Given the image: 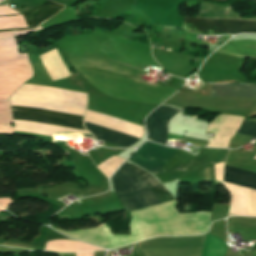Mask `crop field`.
<instances>
[{
    "label": "crop field",
    "mask_w": 256,
    "mask_h": 256,
    "mask_svg": "<svg viewBox=\"0 0 256 256\" xmlns=\"http://www.w3.org/2000/svg\"><path fill=\"white\" fill-rule=\"evenodd\" d=\"M178 149L145 142L129 159L151 173L161 168ZM228 150L203 148L200 153L193 155L179 149L171 159L155 174L169 170L191 171L212 162L224 161Z\"/></svg>",
    "instance_id": "8a807250"
},
{
    "label": "crop field",
    "mask_w": 256,
    "mask_h": 256,
    "mask_svg": "<svg viewBox=\"0 0 256 256\" xmlns=\"http://www.w3.org/2000/svg\"><path fill=\"white\" fill-rule=\"evenodd\" d=\"M32 75L28 56L18 54L15 39H0V133H13L8 97Z\"/></svg>",
    "instance_id": "ac0d7876"
},
{
    "label": "crop field",
    "mask_w": 256,
    "mask_h": 256,
    "mask_svg": "<svg viewBox=\"0 0 256 256\" xmlns=\"http://www.w3.org/2000/svg\"><path fill=\"white\" fill-rule=\"evenodd\" d=\"M126 163H124L112 176L114 193L126 210L133 211L151 205H157L158 202L160 204L167 202V199L164 197L146 171L131 163H127L151 188L158 202L150 188Z\"/></svg>",
    "instance_id": "34b2d1b8"
},
{
    "label": "crop field",
    "mask_w": 256,
    "mask_h": 256,
    "mask_svg": "<svg viewBox=\"0 0 256 256\" xmlns=\"http://www.w3.org/2000/svg\"><path fill=\"white\" fill-rule=\"evenodd\" d=\"M183 28L199 33H256V22L184 18Z\"/></svg>",
    "instance_id": "412701ff"
},
{
    "label": "crop field",
    "mask_w": 256,
    "mask_h": 256,
    "mask_svg": "<svg viewBox=\"0 0 256 256\" xmlns=\"http://www.w3.org/2000/svg\"><path fill=\"white\" fill-rule=\"evenodd\" d=\"M178 111L173 107L160 106L151 113L146 119L148 139L167 145V124Z\"/></svg>",
    "instance_id": "f4fd0767"
},
{
    "label": "crop field",
    "mask_w": 256,
    "mask_h": 256,
    "mask_svg": "<svg viewBox=\"0 0 256 256\" xmlns=\"http://www.w3.org/2000/svg\"><path fill=\"white\" fill-rule=\"evenodd\" d=\"M5 6V5H2ZM10 7V6H8ZM65 5L58 4L55 1L46 0L39 4L38 6L32 8L31 10L27 11L24 15V20L27 29L35 28L39 26L40 24L46 22L56 14H58L60 11L64 9ZM11 8V7H10ZM18 12V11H17ZM20 13V12H18ZM21 14V13H20ZM22 16V14H21ZM20 18V17H16ZM6 19H12V18H6ZM26 28L21 29H10V30H1L0 32L4 31H17V30H23Z\"/></svg>",
    "instance_id": "dd49c442"
},
{
    "label": "crop field",
    "mask_w": 256,
    "mask_h": 256,
    "mask_svg": "<svg viewBox=\"0 0 256 256\" xmlns=\"http://www.w3.org/2000/svg\"><path fill=\"white\" fill-rule=\"evenodd\" d=\"M85 128L91 131L97 139L117 144L123 147H128L140 140V138L124 134L106 127H102L93 123H89L86 121Z\"/></svg>",
    "instance_id": "e52e79f7"
},
{
    "label": "crop field",
    "mask_w": 256,
    "mask_h": 256,
    "mask_svg": "<svg viewBox=\"0 0 256 256\" xmlns=\"http://www.w3.org/2000/svg\"><path fill=\"white\" fill-rule=\"evenodd\" d=\"M13 111V119H28L40 122L54 123L60 125L71 126L75 128L85 129L83 127V121L55 116L50 114H44L39 112H31V111H21V110H12Z\"/></svg>",
    "instance_id": "d8731c3e"
},
{
    "label": "crop field",
    "mask_w": 256,
    "mask_h": 256,
    "mask_svg": "<svg viewBox=\"0 0 256 256\" xmlns=\"http://www.w3.org/2000/svg\"><path fill=\"white\" fill-rule=\"evenodd\" d=\"M210 96L216 97H256L254 85H212Z\"/></svg>",
    "instance_id": "5a996713"
},
{
    "label": "crop field",
    "mask_w": 256,
    "mask_h": 256,
    "mask_svg": "<svg viewBox=\"0 0 256 256\" xmlns=\"http://www.w3.org/2000/svg\"><path fill=\"white\" fill-rule=\"evenodd\" d=\"M216 52L240 57L244 55L256 57V41L241 40L228 42Z\"/></svg>",
    "instance_id": "3316defc"
},
{
    "label": "crop field",
    "mask_w": 256,
    "mask_h": 256,
    "mask_svg": "<svg viewBox=\"0 0 256 256\" xmlns=\"http://www.w3.org/2000/svg\"><path fill=\"white\" fill-rule=\"evenodd\" d=\"M224 182L252 188L256 190V174L225 166ZM233 216V214H229Z\"/></svg>",
    "instance_id": "28ad6ade"
},
{
    "label": "crop field",
    "mask_w": 256,
    "mask_h": 256,
    "mask_svg": "<svg viewBox=\"0 0 256 256\" xmlns=\"http://www.w3.org/2000/svg\"><path fill=\"white\" fill-rule=\"evenodd\" d=\"M237 132L256 137V123L244 120Z\"/></svg>",
    "instance_id": "d1516ede"
},
{
    "label": "crop field",
    "mask_w": 256,
    "mask_h": 256,
    "mask_svg": "<svg viewBox=\"0 0 256 256\" xmlns=\"http://www.w3.org/2000/svg\"><path fill=\"white\" fill-rule=\"evenodd\" d=\"M12 203L9 198L6 199H0V205L4 206L5 208H7V205Z\"/></svg>",
    "instance_id": "22f410ed"
},
{
    "label": "crop field",
    "mask_w": 256,
    "mask_h": 256,
    "mask_svg": "<svg viewBox=\"0 0 256 256\" xmlns=\"http://www.w3.org/2000/svg\"><path fill=\"white\" fill-rule=\"evenodd\" d=\"M0 211H4L2 208H0Z\"/></svg>",
    "instance_id": "cbeb9de0"
},
{
    "label": "crop field",
    "mask_w": 256,
    "mask_h": 256,
    "mask_svg": "<svg viewBox=\"0 0 256 256\" xmlns=\"http://www.w3.org/2000/svg\"><path fill=\"white\" fill-rule=\"evenodd\" d=\"M253 1H256V0H253Z\"/></svg>",
    "instance_id": "5142ce71"
}]
</instances>
